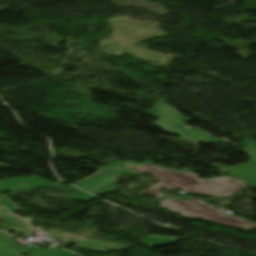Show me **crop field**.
Instances as JSON below:
<instances>
[{
	"mask_svg": "<svg viewBox=\"0 0 256 256\" xmlns=\"http://www.w3.org/2000/svg\"><path fill=\"white\" fill-rule=\"evenodd\" d=\"M161 187H165L161 184V182L159 181L158 183H156L155 185H153L150 189L146 190V191H143L141 193H153V194H156L158 199L161 198V197H164L166 195H162L160 192H158V190L161 188ZM193 201V199H190V200H185V199H170V200H166V201H162L161 204H162V207H166L170 210H175L189 202Z\"/></svg>",
	"mask_w": 256,
	"mask_h": 256,
	"instance_id": "crop-field-5",
	"label": "crop field"
},
{
	"mask_svg": "<svg viewBox=\"0 0 256 256\" xmlns=\"http://www.w3.org/2000/svg\"><path fill=\"white\" fill-rule=\"evenodd\" d=\"M58 187L65 189L70 199L82 200L84 202H88L93 198H95L73 186H58Z\"/></svg>",
	"mask_w": 256,
	"mask_h": 256,
	"instance_id": "crop-field-7",
	"label": "crop field"
},
{
	"mask_svg": "<svg viewBox=\"0 0 256 256\" xmlns=\"http://www.w3.org/2000/svg\"><path fill=\"white\" fill-rule=\"evenodd\" d=\"M114 166H122L124 169L117 173H106L77 186L94 194L109 192L117 188V178L127 173L136 175L149 173L158 177L162 184L171 189L180 188L185 189L187 192L204 195L227 196L246 186L244 182L230 177L202 180L199 179L196 174L187 170L161 167L150 161H145L143 164L132 161H117L106 166V168H112ZM184 171H186V173H184Z\"/></svg>",
	"mask_w": 256,
	"mask_h": 256,
	"instance_id": "crop-field-1",
	"label": "crop field"
},
{
	"mask_svg": "<svg viewBox=\"0 0 256 256\" xmlns=\"http://www.w3.org/2000/svg\"><path fill=\"white\" fill-rule=\"evenodd\" d=\"M244 145H246L248 148L256 151V142H248V143H243Z\"/></svg>",
	"mask_w": 256,
	"mask_h": 256,
	"instance_id": "crop-field-8",
	"label": "crop field"
},
{
	"mask_svg": "<svg viewBox=\"0 0 256 256\" xmlns=\"http://www.w3.org/2000/svg\"><path fill=\"white\" fill-rule=\"evenodd\" d=\"M0 167H9V166L0 163Z\"/></svg>",
	"mask_w": 256,
	"mask_h": 256,
	"instance_id": "crop-field-10",
	"label": "crop field"
},
{
	"mask_svg": "<svg viewBox=\"0 0 256 256\" xmlns=\"http://www.w3.org/2000/svg\"><path fill=\"white\" fill-rule=\"evenodd\" d=\"M150 111L161 118L156 125L161 127L166 133H171L194 142L228 143L227 140L211 137L210 133L198 128L186 127L185 122L189 121V119L160 100L156 102Z\"/></svg>",
	"mask_w": 256,
	"mask_h": 256,
	"instance_id": "crop-field-2",
	"label": "crop field"
},
{
	"mask_svg": "<svg viewBox=\"0 0 256 256\" xmlns=\"http://www.w3.org/2000/svg\"><path fill=\"white\" fill-rule=\"evenodd\" d=\"M174 212L181 213L188 218L203 217L207 220L244 229L254 228L255 223L249 222L245 219L226 215L224 212L217 210L199 200L193 201Z\"/></svg>",
	"mask_w": 256,
	"mask_h": 256,
	"instance_id": "crop-field-3",
	"label": "crop field"
},
{
	"mask_svg": "<svg viewBox=\"0 0 256 256\" xmlns=\"http://www.w3.org/2000/svg\"><path fill=\"white\" fill-rule=\"evenodd\" d=\"M37 180L40 183H36ZM15 183H19V185H14ZM57 184L59 183H51L36 176L26 178H10L0 182V192L8 190L14 193L37 187H55ZM6 185L9 187H6Z\"/></svg>",
	"mask_w": 256,
	"mask_h": 256,
	"instance_id": "crop-field-4",
	"label": "crop field"
},
{
	"mask_svg": "<svg viewBox=\"0 0 256 256\" xmlns=\"http://www.w3.org/2000/svg\"><path fill=\"white\" fill-rule=\"evenodd\" d=\"M178 237L174 236H161V235H149L143 242L153 248L166 245L178 241Z\"/></svg>",
	"mask_w": 256,
	"mask_h": 256,
	"instance_id": "crop-field-6",
	"label": "crop field"
},
{
	"mask_svg": "<svg viewBox=\"0 0 256 256\" xmlns=\"http://www.w3.org/2000/svg\"><path fill=\"white\" fill-rule=\"evenodd\" d=\"M6 214L10 215V213H8V212H6L5 215H6Z\"/></svg>",
	"mask_w": 256,
	"mask_h": 256,
	"instance_id": "crop-field-11",
	"label": "crop field"
},
{
	"mask_svg": "<svg viewBox=\"0 0 256 256\" xmlns=\"http://www.w3.org/2000/svg\"><path fill=\"white\" fill-rule=\"evenodd\" d=\"M243 180L246 181L247 183L251 184V185H256V177L246 178V179H243Z\"/></svg>",
	"mask_w": 256,
	"mask_h": 256,
	"instance_id": "crop-field-9",
	"label": "crop field"
}]
</instances>
